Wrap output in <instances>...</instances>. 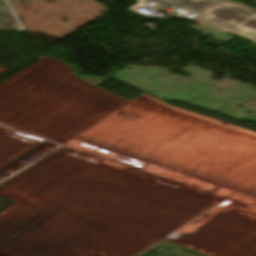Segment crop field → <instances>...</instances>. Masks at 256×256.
Returning a JSON list of instances; mask_svg holds the SVG:
<instances>
[{"instance_id": "crop-field-1", "label": "crop field", "mask_w": 256, "mask_h": 256, "mask_svg": "<svg viewBox=\"0 0 256 256\" xmlns=\"http://www.w3.org/2000/svg\"><path fill=\"white\" fill-rule=\"evenodd\" d=\"M160 3L159 8L164 9L172 4H177L185 9L201 15L196 21L234 33L243 31L234 28L250 16L237 13L226 8L203 0H152Z\"/></svg>"}, {"instance_id": "crop-field-2", "label": "crop field", "mask_w": 256, "mask_h": 256, "mask_svg": "<svg viewBox=\"0 0 256 256\" xmlns=\"http://www.w3.org/2000/svg\"><path fill=\"white\" fill-rule=\"evenodd\" d=\"M0 28H19V23L5 0H0Z\"/></svg>"}, {"instance_id": "crop-field-3", "label": "crop field", "mask_w": 256, "mask_h": 256, "mask_svg": "<svg viewBox=\"0 0 256 256\" xmlns=\"http://www.w3.org/2000/svg\"><path fill=\"white\" fill-rule=\"evenodd\" d=\"M208 1L226 6L228 8L234 9L236 11L245 13V14L250 15V16L256 14V9H253L251 7H248V6H245V5H242V4H239V3L231 1V0H208Z\"/></svg>"}, {"instance_id": "crop-field-4", "label": "crop field", "mask_w": 256, "mask_h": 256, "mask_svg": "<svg viewBox=\"0 0 256 256\" xmlns=\"http://www.w3.org/2000/svg\"><path fill=\"white\" fill-rule=\"evenodd\" d=\"M253 17L256 18V15H254ZM255 18L250 17L236 27L238 29L245 31L241 35L249 39H252L254 41H256V19Z\"/></svg>"}]
</instances>
